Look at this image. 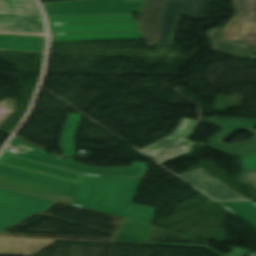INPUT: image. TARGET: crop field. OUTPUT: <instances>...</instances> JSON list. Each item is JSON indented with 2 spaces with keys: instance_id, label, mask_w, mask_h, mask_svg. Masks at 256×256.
<instances>
[{
  "instance_id": "4a817a6b",
  "label": "crop field",
  "mask_w": 256,
  "mask_h": 256,
  "mask_svg": "<svg viewBox=\"0 0 256 256\" xmlns=\"http://www.w3.org/2000/svg\"><path fill=\"white\" fill-rule=\"evenodd\" d=\"M125 1H144V0H125Z\"/></svg>"
},
{
  "instance_id": "d1516ede",
  "label": "crop field",
  "mask_w": 256,
  "mask_h": 256,
  "mask_svg": "<svg viewBox=\"0 0 256 256\" xmlns=\"http://www.w3.org/2000/svg\"><path fill=\"white\" fill-rule=\"evenodd\" d=\"M256 227V204L252 201L218 203Z\"/></svg>"
},
{
  "instance_id": "e52e79f7",
  "label": "crop field",
  "mask_w": 256,
  "mask_h": 256,
  "mask_svg": "<svg viewBox=\"0 0 256 256\" xmlns=\"http://www.w3.org/2000/svg\"><path fill=\"white\" fill-rule=\"evenodd\" d=\"M180 176L215 199H244L202 169Z\"/></svg>"
},
{
  "instance_id": "5142ce71",
  "label": "crop field",
  "mask_w": 256,
  "mask_h": 256,
  "mask_svg": "<svg viewBox=\"0 0 256 256\" xmlns=\"http://www.w3.org/2000/svg\"><path fill=\"white\" fill-rule=\"evenodd\" d=\"M243 171L256 169V154L240 156Z\"/></svg>"
},
{
  "instance_id": "8a807250",
  "label": "crop field",
  "mask_w": 256,
  "mask_h": 256,
  "mask_svg": "<svg viewBox=\"0 0 256 256\" xmlns=\"http://www.w3.org/2000/svg\"><path fill=\"white\" fill-rule=\"evenodd\" d=\"M47 19L50 27V42H64V41H54V39H68V38H96V37H124V36L139 37V38H125V39H142L143 38L131 14L47 17ZM119 19H129V21L55 25V23H65V22H83V21H101V20H119ZM123 25H134V27L53 31V29H63V28H83V27H103V26H123ZM122 30H136V32L56 35V33L122 31ZM97 40H124V39H97ZM69 41H94V40H69Z\"/></svg>"
},
{
  "instance_id": "d9b57169",
  "label": "crop field",
  "mask_w": 256,
  "mask_h": 256,
  "mask_svg": "<svg viewBox=\"0 0 256 256\" xmlns=\"http://www.w3.org/2000/svg\"><path fill=\"white\" fill-rule=\"evenodd\" d=\"M206 249L218 254L219 256H245L246 254L251 252L250 250L241 249V248H237V247H231L229 249H231L233 251L226 255H223L220 252L216 251L215 249L211 248L210 246H208Z\"/></svg>"
},
{
  "instance_id": "d8731c3e",
  "label": "crop field",
  "mask_w": 256,
  "mask_h": 256,
  "mask_svg": "<svg viewBox=\"0 0 256 256\" xmlns=\"http://www.w3.org/2000/svg\"><path fill=\"white\" fill-rule=\"evenodd\" d=\"M0 31L45 33L40 15L0 13Z\"/></svg>"
},
{
  "instance_id": "f4fd0767",
  "label": "crop field",
  "mask_w": 256,
  "mask_h": 256,
  "mask_svg": "<svg viewBox=\"0 0 256 256\" xmlns=\"http://www.w3.org/2000/svg\"><path fill=\"white\" fill-rule=\"evenodd\" d=\"M213 123H217L223 127L220 134L210 140V144L225 152L236 154L256 152V131L253 129L256 126V119H239V118H222L210 117L206 118ZM237 130H245L252 133L254 138L251 141L239 144H223L221 139L230 135Z\"/></svg>"
},
{
  "instance_id": "28ad6ade",
  "label": "crop field",
  "mask_w": 256,
  "mask_h": 256,
  "mask_svg": "<svg viewBox=\"0 0 256 256\" xmlns=\"http://www.w3.org/2000/svg\"><path fill=\"white\" fill-rule=\"evenodd\" d=\"M220 32L221 29H209L206 32L208 38L213 43L212 50L256 60V55L247 50L249 45L234 41H219Z\"/></svg>"
},
{
  "instance_id": "412701ff",
  "label": "crop field",
  "mask_w": 256,
  "mask_h": 256,
  "mask_svg": "<svg viewBox=\"0 0 256 256\" xmlns=\"http://www.w3.org/2000/svg\"><path fill=\"white\" fill-rule=\"evenodd\" d=\"M208 0H187V2L165 1L158 45H172L180 16H205Z\"/></svg>"
},
{
  "instance_id": "dd49c442",
  "label": "crop field",
  "mask_w": 256,
  "mask_h": 256,
  "mask_svg": "<svg viewBox=\"0 0 256 256\" xmlns=\"http://www.w3.org/2000/svg\"><path fill=\"white\" fill-rule=\"evenodd\" d=\"M163 3L164 0H145L139 13L137 25L148 45H157Z\"/></svg>"
},
{
  "instance_id": "733c2abd",
  "label": "crop field",
  "mask_w": 256,
  "mask_h": 256,
  "mask_svg": "<svg viewBox=\"0 0 256 256\" xmlns=\"http://www.w3.org/2000/svg\"><path fill=\"white\" fill-rule=\"evenodd\" d=\"M243 178L256 188V170L243 172Z\"/></svg>"
},
{
  "instance_id": "3316defc",
  "label": "crop field",
  "mask_w": 256,
  "mask_h": 256,
  "mask_svg": "<svg viewBox=\"0 0 256 256\" xmlns=\"http://www.w3.org/2000/svg\"><path fill=\"white\" fill-rule=\"evenodd\" d=\"M46 37L0 34V49L44 53Z\"/></svg>"
},
{
  "instance_id": "34b2d1b8",
  "label": "crop field",
  "mask_w": 256,
  "mask_h": 256,
  "mask_svg": "<svg viewBox=\"0 0 256 256\" xmlns=\"http://www.w3.org/2000/svg\"><path fill=\"white\" fill-rule=\"evenodd\" d=\"M198 124V121L184 119L172 135L141 151L161 164L186 155L195 144L187 139Z\"/></svg>"
},
{
  "instance_id": "22f410ed",
  "label": "crop field",
  "mask_w": 256,
  "mask_h": 256,
  "mask_svg": "<svg viewBox=\"0 0 256 256\" xmlns=\"http://www.w3.org/2000/svg\"><path fill=\"white\" fill-rule=\"evenodd\" d=\"M0 12L40 14L33 0H0Z\"/></svg>"
},
{
  "instance_id": "cbeb9de0",
  "label": "crop field",
  "mask_w": 256,
  "mask_h": 256,
  "mask_svg": "<svg viewBox=\"0 0 256 256\" xmlns=\"http://www.w3.org/2000/svg\"><path fill=\"white\" fill-rule=\"evenodd\" d=\"M237 15H256V0H233Z\"/></svg>"
},
{
  "instance_id": "ac0d7876",
  "label": "crop field",
  "mask_w": 256,
  "mask_h": 256,
  "mask_svg": "<svg viewBox=\"0 0 256 256\" xmlns=\"http://www.w3.org/2000/svg\"><path fill=\"white\" fill-rule=\"evenodd\" d=\"M143 2L72 0L41 4L47 16L138 13Z\"/></svg>"
},
{
  "instance_id": "5a996713",
  "label": "crop field",
  "mask_w": 256,
  "mask_h": 256,
  "mask_svg": "<svg viewBox=\"0 0 256 256\" xmlns=\"http://www.w3.org/2000/svg\"><path fill=\"white\" fill-rule=\"evenodd\" d=\"M220 40H256V17H234L224 26Z\"/></svg>"
}]
</instances>
